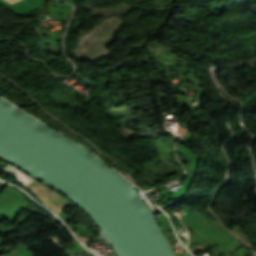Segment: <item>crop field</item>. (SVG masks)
I'll return each instance as SVG.
<instances>
[{"mask_svg":"<svg viewBox=\"0 0 256 256\" xmlns=\"http://www.w3.org/2000/svg\"><path fill=\"white\" fill-rule=\"evenodd\" d=\"M7 169L10 170V171H12V172H14V173L17 175L19 181H20L21 183H23L25 186H26L27 184H29L31 181H33L32 178H30V177H28L27 175L21 173L20 171L14 169V168L11 167L10 165L7 167Z\"/></svg>","mask_w":256,"mask_h":256,"instance_id":"1","label":"crop field"}]
</instances>
